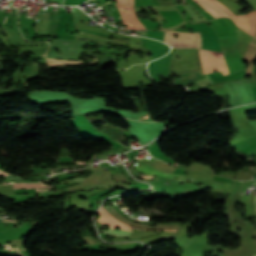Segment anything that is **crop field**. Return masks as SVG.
Instances as JSON below:
<instances>
[{"label":"crop field","mask_w":256,"mask_h":256,"mask_svg":"<svg viewBox=\"0 0 256 256\" xmlns=\"http://www.w3.org/2000/svg\"><path fill=\"white\" fill-rule=\"evenodd\" d=\"M86 238L90 241L91 244H93V241L90 239L89 236H86Z\"/></svg>","instance_id":"crop-field-11"},{"label":"crop field","mask_w":256,"mask_h":256,"mask_svg":"<svg viewBox=\"0 0 256 256\" xmlns=\"http://www.w3.org/2000/svg\"><path fill=\"white\" fill-rule=\"evenodd\" d=\"M46 181H48V180H46Z\"/></svg>","instance_id":"crop-field-14"},{"label":"crop field","mask_w":256,"mask_h":256,"mask_svg":"<svg viewBox=\"0 0 256 256\" xmlns=\"http://www.w3.org/2000/svg\"><path fill=\"white\" fill-rule=\"evenodd\" d=\"M7 175H8V174H6V173L0 171V176H7Z\"/></svg>","instance_id":"crop-field-10"},{"label":"crop field","mask_w":256,"mask_h":256,"mask_svg":"<svg viewBox=\"0 0 256 256\" xmlns=\"http://www.w3.org/2000/svg\"><path fill=\"white\" fill-rule=\"evenodd\" d=\"M98 214H99L100 218H99L98 220H96V222H98V223H100V224H102V225L107 224V225H109V228H116L117 226H119L120 229L130 230V231L133 230L132 228H135V227H132V226H130V225H128V224H125V223H123V222H121V221L115 219V218H114L112 215H110V213H109L105 208H103L102 206H101V208H100ZM109 215H110V216H109ZM108 216L111 217L112 219H114L115 221H117V222L119 221V222H118V223L115 222L114 220H112V219L109 218ZM137 229H140V228H137ZM143 230H151V229H143ZM152 231H164V230H152ZM171 231H176V230H171ZM101 232L110 234V235H112V236H121V237H128V236L131 234V232H129V231L115 230V229H108V230H103V229H101Z\"/></svg>","instance_id":"crop-field-2"},{"label":"crop field","mask_w":256,"mask_h":256,"mask_svg":"<svg viewBox=\"0 0 256 256\" xmlns=\"http://www.w3.org/2000/svg\"><path fill=\"white\" fill-rule=\"evenodd\" d=\"M47 61L62 62V63H68V64H83L82 61L56 60V59H49V58H47ZM48 65H50V66H71V65H63L61 63H48Z\"/></svg>","instance_id":"crop-field-5"},{"label":"crop field","mask_w":256,"mask_h":256,"mask_svg":"<svg viewBox=\"0 0 256 256\" xmlns=\"http://www.w3.org/2000/svg\"><path fill=\"white\" fill-rule=\"evenodd\" d=\"M3 221H9V220H3Z\"/></svg>","instance_id":"crop-field-13"},{"label":"crop field","mask_w":256,"mask_h":256,"mask_svg":"<svg viewBox=\"0 0 256 256\" xmlns=\"http://www.w3.org/2000/svg\"><path fill=\"white\" fill-rule=\"evenodd\" d=\"M5 179H17V180H23V179H21V178L13 177V176H11V175H9V176L5 177Z\"/></svg>","instance_id":"crop-field-9"},{"label":"crop field","mask_w":256,"mask_h":256,"mask_svg":"<svg viewBox=\"0 0 256 256\" xmlns=\"http://www.w3.org/2000/svg\"><path fill=\"white\" fill-rule=\"evenodd\" d=\"M141 177H147V178H152V176H141Z\"/></svg>","instance_id":"crop-field-12"},{"label":"crop field","mask_w":256,"mask_h":256,"mask_svg":"<svg viewBox=\"0 0 256 256\" xmlns=\"http://www.w3.org/2000/svg\"><path fill=\"white\" fill-rule=\"evenodd\" d=\"M135 168L137 170L141 171L142 173L146 174V175H159V176H162V177H171V178L176 177V178H179L178 180H181L180 178L182 177L181 181L194 180L193 178H191L189 176H182V175H178V174L160 172V171L154 169L153 167H151L147 164H143V163L135 166ZM175 180H177V179H175Z\"/></svg>","instance_id":"crop-field-4"},{"label":"crop field","mask_w":256,"mask_h":256,"mask_svg":"<svg viewBox=\"0 0 256 256\" xmlns=\"http://www.w3.org/2000/svg\"><path fill=\"white\" fill-rule=\"evenodd\" d=\"M148 33V36L149 37H152V38H155V39H159L161 41H163V38H164V32H159V31H147Z\"/></svg>","instance_id":"crop-field-7"},{"label":"crop field","mask_w":256,"mask_h":256,"mask_svg":"<svg viewBox=\"0 0 256 256\" xmlns=\"http://www.w3.org/2000/svg\"><path fill=\"white\" fill-rule=\"evenodd\" d=\"M173 33L178 34V38H174ZM193 33V47L199 48V32ZM192 33L185 32H165L164 42L175 48L180 47H192ZM200 60L202 63L204 73L213 72L212 70L217 69L221 70L223 75L228 74V69L223 57V54L220 52L209 51V50H200Z\"/></svg>","instance_id":"crop-field-1"},{"label":"crop field","mask_w":256,"mask_h":256,"mask_svg":"<svg viewBox=\"0 0 256 256\" xmlns=\"http://www.w3.org/2000/svg\"><path fill=\"white\" fill-rule=\"evenodd\" d=\"M15 188L17 189H24V188H40V187H48V186H44L41 183H34V184H14Z\"/></svg>","instance_id":"crop-field-6"},{"label":"crop field","mask_w":256,"mask_h":256,"mask_svg":"<svg viewBox=\"0 0 256 256\" xmlns=\"http://www.w3.org/2000/svg\"><path fill=\"white\" fill-rule=\"evenodd\" d=\"M46 188L42 189H36L37 191H45ZM36 190L28 189V190H14L15 193H21V192H36Z\"/></svg>","instance_id":"crop-field-8"},{"label":"crop field","mask_w":256,"mask_h":256,"mask_svg":"<svg viewBox=\"0 0 256 256\" xmlns=\"http://www.w3.org/2000/svg\"><path fill=\"white\" fill-rule=\"evenodd\" d=\"M116 5L120 11L123 21H125L128 25L126 29H145L143 25L140 23V21L138 20L133 7L119 5L117 3ZM125 8H127V12L123 11Z\"/></svg>","instance_id":"crop-field-3"}]
</instances>
